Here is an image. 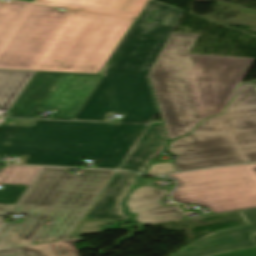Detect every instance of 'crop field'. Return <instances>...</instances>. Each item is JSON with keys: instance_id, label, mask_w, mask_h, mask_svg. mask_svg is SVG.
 <instances>
[{"instance_id": "8a807250", "label": "crop field", "mask_w": 256, "mask_h": 256, "mask_svg": "<svg viewBox=\"0 0 256 256\" xmlns=\"http://www.w3.org/2000/svg\"><path fill=\"white\" fill-rule=\"evenodd\" d=\"M183 10L150 0L110 58L100 80L73 120H36L32 127L0 125V154L30 156L24 164L76 167L82 157L99 160L94 168L117 169L157 115L148 76Z\"/></svg>"}, {"instance_id": "ac0d7876", "label": "crop field", "mask_w": 256, "mask_h": 256, "mask_svg": "<svg viewBox=\"0 0 256 256\" xmlns=\"http://www.w3.org/2000/svg\"><path fill=\"white\" fill-rule=\"evenodd\" d=\"M148 1L0 2V68L98 74Z\"/></svg>"}, {"instance_id": "34b2d1b8", "label": "crop field", "mask_w": 256, "mask_h": 256, "mask_svg": "<svg viewBox=\"0 0 256 256\" xmlns=\"http://www.w3.org/2000/svg\"><path fill=\"white\" fill-rule=\"evenodd\" d=\"M115 171L83 170L79 176L67 169L41 168L16 205L0 204V216L28 215L22 224L3 222L0 256H79L73 243L80 237L30 246L52 218L35 244L69 237L87 209Z\"/></svg>"}, {"instance_id": "412701ff", "label": "crop field", "mask_w": 256, "mask_h": 256, "mask_svg": "<svg viewBox=\"0 0 256 256\" xmlns=\"http://www.w3.org/2000/svg\"><path fill=\"white\" fill-rule=\"evenodd\" d=\"M198 37L172 33L150 75L169 140L223 112L255 61L189 54Z\"/></svg>"}, {"instance_id": "f4fd0767", "label": "crop field", "mask_w": 256, "mask_h": 256, "mask_svg": "<svg viewBox=\"0 0 256 256\" xmlns=\"http://www.w3.org/2000/svg\"><path fill=\"white\" fill-rule=\"evenodd\" d=\"M177 171L256 161V89L237 91L227 111L168 145Z\"/></svg>"}, {"instance_id": "dd49c442", "label": "crop field", "mask_w": 256, "mask_h": 256, "mask_svg": "<svg viewBox=\"0 0 256 256\" xmlns=\"http://www.w3.org/2000/svg\"><path fill=\"white\" fill-rule=\"evenodd\" d=\"M167 176L179 183L175 202L205 206L212 214L256 207V163Z\"/></svg>"}, {"instance_id": "e52e79f7", "label": "crop field", "mask_w": 256, "mask_h": 256, "mask_svg": "<svg viewBox=\"0 0 256 256\" xmlns=\"http://www.w3.org/2000/svg\"><path fill=\"white\" fill-rule=\"evenodd\" d=\"M101 75L36 72L7 116L35 118L40 108L52 119L72 120Z\"/></svg>"}, {"instance_id": "d8731c3e", "label": "crop field", "mask_w": 256, "mask_h": 256, "mask_svg": "<svg viewBox=\"0 0 256 256\" xmlns=\"http://www.w3.org/2000/svg\"><path fill=\"white\" fill-rule=\"evenodd\" d=\"M247 226L214 232L200 238L174 256H206L255 246L251 232L256 231V208L238 211Z\"/></svg>"}, {"instance_id": "5a996713", "label": "crop field", "mask_w": 256, "mask_h": 256, "mask_svg": "<svg viewBox=\"0 0 256 256\" xmlns=\"http://www.w3.org/2000/svg\"><path fill=\"white\" fill-rule=\"evenodd\" d=\"M167 194L166 190L147 186L141 187L129 195L127 208L131 214L151 211V213L136 216L137 222L142 225L184 218L177 206L164 207L159 202Z\"/></svg>"}, {"instance_id": "3316defc", "label": "crop field", "mask_w": 256, "mask_h": 256, "mask_svg": "<svg viewBox=\"0 0 256 256\" xmlns=\"http://www.w3.org/2000/svg\"><path fill=\"white\" fill-rule=\"evenodd\" d=\"M136 175L130 172H117L101 197L85 218L124 220L127 216L119 205L124 193L135 184Z\"/></svg>"}, {"instance_id": "28ad6ade", "label": "crop field", "mask_w": 256, "mask_h": 256, "mask_svg": "<svg viewBox=\"0 0 256 256\" xmlns=\"http://www.w3.org/2000/svg\"><path fill=\"white\" fill-rule=\"evenodd\" d=\"M166 143L163 125L150 124L121 169L146 172L149 162L163 151Z\"/></svg>"}, {"instance_id": "d1516ede", "label": "crop field", "mask_w": 256, "mask_h": 256, "mask_svg": "<svg viewBox=\"0 0 256 256\" xmlns=\"http://www.w3.org/2000/svg\"><path fill=\"white\" fill-rule=\"evenodd\" d=\"M34 74L0 70V108H11Z\"/></svg>"}, {"instance_id": "22f410ed", "label": "crop field", "mask_w": 256, "mask_h": 256, "mask_svg": "<svg viewBox=\"0 0 256 256\" xmlns=\"http://www.w3.org/2000/svg\"><path fill=\"white\" fill-rule=\"evenodd\" d=\"M40 167L6 166L0 172V184L29 185Z\"/></svg>"}, {"instance_id": "cbeb9de0", "label": "crop field", "mask_w": 256, "mask_h": 256, "mask_svg": "<svg viewBox=\"0 0 256 256\" xmlns=\"http://www.w3.org/2000/svg\"><path fill=\"white\" fill-rule=\"evenodd\" d=\"M27 186L4 185L0 190V203L16 204Z\"/></svg>"}, {"instance_id": "5142ce71", "label": "crop field", "mask_w": 256, "mask_h": 256, "mask_svg": "<svg viewBox=\"0 0 256 256\" xmlns=\"http://www.w3.org/2000/svg\"><path fill=\"white\" fill-rule=\"evenodd\" d=\"M116 223L110 221H94V220H83L78 229L75 232V236L85 235L90 233L102 232L103 230L99 225Z\"/></svg>"}, {"instance_id": "d9b57169", "label": "crop field", "mask_w": 256, "mask_h": 256, "mask_svg": "<svg viewBox=\"0 0 256 256\" xmlns=\"http://www.w3.org/2000/svg\"><path fill=\"white\" fill-rule=\"evenodd\" d=\"M174 172L170 162L152 164L148 169V174H162Z\"/></svg>"}, {"instance_id": "733c2abd", "label": "crop field", "mask_w": 256, "mask_h": 256, "mask_svg": "<svg viewBox=\"0 0 256 256\" xmlns=\"http://www.w3.org/2000/svg\"><path fill=\"white\" fill-rule=\"evenodd\" d=\"M214 256H256V247L255 248H249Z\"/></svg>"}, {"instance_id": "4a817a6b", "label": "crop field", "mask_w": 256, "mask_h": 256, "mask_svg": "<svg viewBox=\"0 0 256 256\" xmlns=\"http://www.w3.org/2000/svg\"><path fill=\"white\" fill-rule=\"evenodd\" d=\"M253 88H256L255 82L254 83L241 84L238 90L253 89Z\"/></svg>"}, {"instance_id": "bc2a9ffb", "label": "crop field", "mask_w": 256, "mask_h": 256, "mask_svg": "<svg viewBox=\"0 0 256 256\" xmlns=\"http://www.w3.org/2000/svg\"><path fill=\"white\" fill-rule=\"evenodd\" d=\"M5 218H0V223H2L4 221Z\"/></svg>"}, {"instance_id": "214f88e0", "label": "crop field", "mask_w": 256, "mask_h": 256, "mask_svg": "<svg viewBox=\"0 0 256 256\" xmlns=\"http://www.w3.org/2000/svg\"><path fill=\"white\" fill-rule=\"evenodd\" d=\"M26 1H30V2H32V1H34V0H26Z\"/></svg>"}, {"instance_id": "92a150f3", "label": "crop field", "mask_w": 256, "mask_h": 256, "mask_svg": "<svg viewBox=\"0 0 256 256\" xmlns=\"http://www.w3.org/2000/svg\"><path fill=\"white\" fill-rule=\"evenodd\" d=\"M1 225V224H0Z\"/></svg>"}]
</instances>
